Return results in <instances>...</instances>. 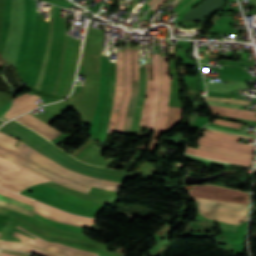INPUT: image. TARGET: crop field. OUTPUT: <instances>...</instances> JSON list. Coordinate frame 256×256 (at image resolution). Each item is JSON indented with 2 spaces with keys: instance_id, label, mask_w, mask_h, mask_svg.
<instances>
[{
  "instance_id": "8a807250",
  "label": "crop field",
  "mask_w": 256,
  "mask_h": 256,
  "mask_svg": "<svg viewBox=\"0 0 256 256\" xmlns=\"http://www.w3.org/2000/svg\"><path fill=\"white\" fill-rule=\"evenodd\" d=\"M0 130L22 140L27 145L35 148L47 157L55 160L59 164L67 167L72 171L79 172L94 178L120 183H123L125 178L134 179L135 177V174L98 168L77 161L63 150L53 146L54 144L52 145L51 143H49L50 141L48 142L40 135L27 129L26 127L22 126L14 120L2 126Z\"/></svg>"
},
{
  "instance_id": "ac0d7876",
  "label": "crop field",
  "mask_w": 256,
  "mask_h": 256,
  "mask_svg": "<svg viewBox=\"0 0 256 256\" xmlns=\"http://www.w3.org/2000/svg\"><path fill=\"white\" fill-rule=\"evenodd\" d=\"M147 70V98L145 99L140 126L154 129L159 93L161 88V76L159 54L153 55V64H146Z\"/></svg>"
},
{
  "instance_id": "34b2d1b8",
  "label": "crop field",
  "mask_w": 256,
  "mask_h": 256,
  "mask_svg": "<svg viewBox=\"0 0 256 256\" xmlns=\"http://www.w3.org/2000/svg\"><path fill=\"white\" fill-rule=\"evenodd\" d=\"M196 200L198 202L199 213L205 216L214 217V220L235 224H239L240 220H246L248 205L217 200Z\"/></svg>"
},
{
  "instance_id": "412701ff",
  "label": "crop field",
  "mask_w": 256,
  "mask_h": 256,
  "mask_svg": "<svg viewBox=\"0 0 256 256\" xmlns=\"http://www.w3.org/2000/svg\"><path fill=\"white\" fill-rule=\"evenodd\" d=\"M19 152L27 155L31 159L35 160L36 162L40 163L41 165L52 169L60 174H63L65 176H68L78 182H83L95 187L107 189V190H114L118 191V188H120V183L110 182V181H104L99 179L90 178L84 175H81L79 173L71 172L68 169L60 166L59 164L55 163L54 161L50 160L49 158L41 155L39 152L34 150L33 148L27 146L22 142V144L19 146L18 149Z\"/></svg>"
},
{
  "instance_id": "f4fd0767",
  "label": "crop field",
  "mask_w": 256,
  "mask_h": 256,
  "mask_svg": "<svg viewBox=\"0 0 256 256\" xmlns=\"http://www.w3.org/2000/svg\"><path fill=\"white\" fill-rule=\"evenodd\" d=\"M0 155L24 166L27 169H30L32 171H35L57 183H60L62 185L83 191L88 193V191L90 190L91 186H88L86 184H82V183H78L74 180H71L63 175H60L58 173H55L43 166H41L40 164L36 163L35 161L29 159L28 157L15 152L5 146L0 145ZM34 172V173H35Z\"/></svg>"
},
{
  "instance_id": "dd49c442",
  "label": "crop field",
  "mask_w": 256,
  "mask_h": 256,
  "mask_svg": "<svg viewBox=\"0 0 256 256\" xmlns=\"http://www.w3.org/2000/svg\"><path fill=\"white\" fill-rule=\"evenodd\" d=\"M194 190H190L192 197L210 198L217 200L241 202L248 204V194L239 191H233L225 188H219L212 185L193 186Z\"/></svg>"
},
{
  "instance_id": "e52e79f7",
  "label": "crop field",
  "mask_w": 256,
  "mask_h": 256,
  "mask_svg": "<svg viewBox=\"0 0 256 256\" xmlns=\"http://www.w3.org/2000/svg\"><path fill=\"white\" fill-rule=\"evenodd\" d=\"M17 228H19V227H17ZM19 229H21V228H19ZM13 235L20 238L23 243L29 244L31 246H34V247H37V248H40L43 250L54 252V253H57V254H60L63 256H98V254H94V253L84 251L81 249L69 247V246L63 245L61 243H49L35 235H34L36 237L35 240H33L21 233H18L16 231L14 232Z\"/></svg>"
},
{
  "instance_id": "d8731c3e",
  "label": "crop field",
  "mask_w": 256,
  "mask_h": 256,
  "mask_svg": "<svg viewBox=\"0 0 256 256\" xmlns=\"http://www.w3.org/2000/svg\"><path fill=\"white\" fill-rule=\"evenodd\" d=\"M206 134L210 135L207 137L203 136V138L199 137L198 144L253 155V146L237 143V137L205 131L204 135Z\"/></svg>"
},
{
  "instance_id": "5a996713",
  "label": "crop field",
  "mask_w": 256,
  "mask_h": 256,
  "mask_svg": "<svg viewBox=\"0 0 256 256\" xmlns=\"http://www.w3.org/2000/svg\"><path fill=\"white\" fill-rule=\"evenodd\" d=\"M161 64H162V93H161L160 99H169L170 80H169L166 58H161ZM168 103H169V100H160V107H159V113H158V118H157V122H156V127H155V131L153 134L152 144L149 148V150L151 152L154 151L155 142L163 130L164 123H165L166 116H167Z\"/></svg>"
},
{
  "instance_id": "3316defc",
  "label": "crop field",
  "mask_w": 256,
  "mask_h": 256,
  "mask_svg": "<svg viewBox=\"0 0 256 256\" xmlns=\"http://www.w3.org/2000/svg\"><path fill=\"white\" fill-rule=\"evenodd\" d=\"M132 77H134V79H132V96L129 102L123 134H130L131 132L134 107L138 98V92H139L138 50H132Z\"/></svg>"
},
{
  "instance_id": "28ad6ade",
  "label": "crop field",
  "mask_w": 256,
  "mask_h": 256,
  "mask_svg": "<svg viewBox=\"0 0 256 256\" xmlns=\"http://www.w3.org/2000/svg\"><path fill=\"white\" fill-rule=\"evenodd\" d=\"M124 76H125V94L123 98L122 105L120 107V113L118 118V127L116 133L122 134L125 115L127 110V105L130 98V90H131V49H125V67H124Z\"/></svg>"
},
{
  "instance_id": "d1516ede",
  "label": "crop field",
  "mask_w": 256,
  "mask_h": 256,
  "mask_svg": "<svg viewBox=\"0 0 256 256\" xmlns=\"http://www.w3.org/2000/svg\"><path fill=\"white\" fill-rule=\"evenodd\" d=\"M123 90V51H118L117 61V78H116V91L114 97L113 108L118 109L123 94L119 91ZM118 113V112H117ZM117 113L112 111L111 119L108 126V132H114L116 126Z\"/></svg>"
},
{
  "instance_id": "22f410ed",
  "label": "crop field",
  "mask_w": 256,
  "mask_h": 256,
  "mask_svg": "<svg viewBox=\"0 0 256 256\" xmlns=\"http://www.w3.org/2000/svg\"><path fill=\"white\" fill-rule=\"evenodd\" d=\"M39 100V97L35 95H29L27 93L15 98L13 107L8 110V112L4 115L6 119H9L13 116H16L20 113H23L27 110L37 107L34 103Z\"/></svg>"
},
{
  "instance_id": "cbeb9de0",
  "label": "crop field",
  "mask_w": 256,
  "mask_h": 256,
  "mask_svg": "<svg viewBox=\"0 0 256 256\" xmlns=\"http://www.w3.org/2000/svg\"><path fill=\"white\" fill-rule=\"evenodd\" d=\"M186 153L194 155V156L202 157V158H208V159H213V160H218V161H223V162L235 163V164H240V165L249 166V167H251V162H252L250 160L231 158L229 156L211 153V152H207V151H202V150H198V149H193V148H189V147H187Z\"/></svg>"
},
{
  "instance_id": "5142ce71",
  "label": "crop field",
  "mask_w": 256,
  "mask_h": 256,
  "mask_svg": "<svg viewBox=\"0 0 256 256\" xmlns=\"http://www.w3.org/2000/svg\"><path fill=\"white\" fill-rule=\"evenodd\" d=\"M33 203H34V206L42 209V210H45L51 214H55L57 216H61V217H65V218H69V219H73V220H77V221H83V222H89V223H93L95 222V220L93 219H89V218H83V217H79V216H75V215H71V214H68L64 211H61L59 209H56V208H53L51 206H48V205H45L43 203H40L36 200H33Z\"/></svg>"
},
{
  "instance_id": "d9b57169",
  "label": "crop field",
  "mask_w": 256,
  "mask_h": 256,
  "mask_svg": "<svg viewBox=\"0 0 256 256\" xmlns=\"http://www.w3.org/2000/svg\"><path fill=\"white\" fill-rule=\"evenodd\" d=\"M0 186L10 189L15 192H19V191L29 187V185H27L23 182H20L14 178H11L1 172H0Z\"/></svg>"
},
{
  "instance_id": "733c2abd",
  "label": "crop field",
  "mask_w": 256,
  "mask_h": 256,
  "mask_svg": "<svg viewBox=\"0 0 256 256\" xmlns=\"http://www.w3.org/2000/svg\"><path fill=\"white\" fill-rule=\"evenodd\" d=\"M0 247L19 249V250L31 252V253H34L37 255H41V256H58L56 254L40 251L36 248L29 247V246H26V245H23L20 243H16V242L0 241Z\"/></svg>"
},
{
  "instance_id": "4a817a6b",
  "label": "crop field",
  "mask_w": 256,
  "mask_h": 256,
  "mask_svg": "<svg viewBox=\"0 0 256 256\" xmlns=\"http://www.w3.org/2000/svg\"><path fill=\"white\" fill-rule=\"evenodd\" d=\"M182 108L169 107V115L163 132H168L171 128L181 121Z\"/></svg>"
},
{
  "instance_id": "bc2a9ffb",
  "label": "crop field",
  "mask_w": 256,
  "mask_h": 256,
  "mask_svg": "<svg viewBox=\"0 0 256 256\" xmlns=\"http://www.w3.org/2000/svg\"><path fill=\"white\" fill-rule=\"evenodd\" d=\"M35 209V212L44 216V217H47L49 219H52V220H56V221H60V222H64V223H68V224H72V225H76V226H81V227H85V228H90V225L91 224H88V223H82V222H77V221H73V220H69V219H65V218H61V217H57L55 215H51L45 211H42L36 207H34Z\"/></svg>"
},
{
  "instance_id": "214f88e0",
  "label": "crop field",
  "mask_w": 256,
  "mask_h": 256,
  "mask_svg": "<svg viewBox=\"0 0 256 256\" xmlns=\"http://www.w3.org/2000/svg\"><path fill=\"white\" fill-rule=\"evenodd\" d=\"M23 117L26 118L27 120L31 121L32 123L36 124L37 126L41 127L42 129L46 130L47 132L51 133L52 135L56 136V137L62 135L59 131L55 130L54 128L48 126L47 124H45L41 120H39V119L29 115V114H27Z\"/></svg>"
},
{
  "instance_id": "92a150f3",
  "label": "crop field",
  "mask_w": 256,
  "mask_h": 256,
  "mask_svg": "<svg viewBox=\"0 0 256 256\" xmlns=\"http://www.w3.org/2000/svg\"><path fill=\"white\" fill-rule=\"evenodd\" d=\"M199 149H203V150H207V151H211V152H216V153H221V154H225V155H230V156H235V157L252 159L251 155L223 151V150H219V149H215V148H211V147H207V146H203V145H200Z\"/></svg>"
},
{
  "instance_id": "dafd665d",
  "label": "crop field",
  "mask_w": 256,
  "mask_h": 256,
  "mask_svg": "<svg viewBox=\"0 0 256 256\" xmlns=\"http://www.w3.org/2000/svg\"><path fill=\"white\" fill-rule=\"evenodd\" d=\"M15 142H16V139H14V138H12V137H10V136L0 132V144L8 146V147H10V148H12V149L17 151V148L13 147Z\"/></svg>"
},
{
  "instance_id": "00972430",
  "label": "crop field",
  "mask_w": 256,
  "mask_h": 256,
  "mask_svg": "<svg viewBox=\"0 0 256 256\" xmlns=\"http://www.w3.org/2000/svg\"><path fill=\"white\" fill-rule=\"evenodd\" d=\"M0 194L32 204L31 199L0 188Z\"/></svg>"
},
{
  "instance_id": "a9b5d70f",
  "label": "crop field",
  "mask_w": 256,
  "mask_h": 256,
  "mask_svg": "<svg viewBox=\"0 0 256 256\" xmlns=\"http://www.w3.org/2000/svg\"><path fill=\"white\" fill-rule=\"evenodd\" d=\"M207 100L216 101V102H224V103H237V104H250V101L246 100H237V99H228V98H215V97H207Z\"/></svg>"
},
{
  "instance_id": "4177f3b9",
  "label": "crop field",
  "mask_w": 256,
  "mask_h": 256,
  "mask_svg": "<svg viewBox=\"0 0 256 256\" xmlns=\"http://www.w3.org/2000/svg\"><path fill=\"white\" fill-rule=\"evenodd\" d=\"M209 107L214 110H221V111H228V112H233V113L248 114V115L256 116V112H252V111L229 109V108H222V107H216V106H210V105H209Z\"/></svg>"
},
{
  "instance_id": "730fd06b",
  "label": "crop field",
  "mask_w": 256,
  "mask_h": 256,
  "mask_svg": "<svg viewBox=\"0 0 256 256\" xmlns=\"http://www.w3.org/2000/svg\"><path fill=\"white\" fill-rule=\"evenodd\" d=\"M0 200L8 201L10 203H13V204L18 205V206H22V207H24L26 209H29V210L33 211V208H32L31 205L23 203V202H20V201H17V200H14V199L2 196V195H0Z\"/></svg>"
},
{
  "instance_id": "eef30255",
  "label": "crop field",
  "mask_w": 256,
  "mask_h": 256,
  "mask_svg": "<svg viewBox=\"0 0 256 256\" xmlns=\"http://www.w3.org/2000/svg\"><path fill=\"white\" fill-rule=\"evenodd\" d=\"M212 112L213 114L222 115V116H232V117H239V118L252 119V120L256 119V117L247 116V115L233 114V113L214 111V110H212Z\"/></svg>"
},
{
  "instance_id": "ae1a2a85",
  "label": "crop field",
  "mask_w": 256,
  "mask_h": 256,
  "mask_svg": "<svg viewBox=\"0 0 256 256\" xmlns=\"http://www.w3.org/2000/svg\"><path fill=\"white\" fill-rule=\"evenodd\" d=\"M0 253H1V256H32L30 254H26L23 252L6 250V249L0 250Z\"/></svg>"
},
{
  "instance_id": "d3111659",
  "label": "crop field",
  "mask_w": 256,
  "mask_h": 256,
  "mask_svg": "<svg viewBox=\"0 0 256 256\" xmlns=\"http://www.w3.org/2000/svg\"><path fill=\"white\" fill-rule=\"evenodd\" d=\"M0 206H2V207H7V208H11V209H15V210H18V211L23 212V213H25V214H28V215H30V216L33 215L32 212H30V211H28V210H26V209H23V208L18 207V206L10 205V204H7V203L1 202V201H0Z\"/></svg>"
},
{
  "instance_id": "750c4746",
  "label": "crop field",
  "mask_w": 256,
  "mask_h": 256,
  "mask_svg": "<svg viewBox=\"0 0 256 256\" xmlns=\"http://www.w3.org/2000/svg\"><path fill=\"white\" fill-rule=\"evenodd\" d=\"M217 223H219L222 226L223 230H227V231L235 232L238 227L235 225H229V224H224V223H220V222H217Z\"/></svg>"
},
{
  "instance_id": "bd1437ed",
  "label": "crop field",
  "mask_w": 256,
  "mask_h": 256,
  "mask_svg": "<svg viewBox=\"0 0 256 256\" xmlns=\"http://www.w3.org/2000/svg\"><path fill=\"white\" fill-rule=\"evenodd\" d=\"M114 89H115V85H113V83L111 82L110 84V96L113 99L114 96Z\"/></svg>"
},
{
  "instance_id": "1d83c4d3",
  "label": "crop field",
  "mask_w": 256,
  "mask_h": 256,
  "mask_svg": "<svg viewBox=\"0 0 256 256\" xmlns=\"http://www.w3.org/2000/svg\"><path fill=\"white\" fill-rule=\"evenodd\" d=\"M165 0H160L153 8L152 10H156L160 7V5L164 2Z\"/></svg>"
},
{
  "instance_id": "120bbe31",
  "label": "crop field",
  "mask_w": 256,
  "mask_h": 256,
  "mask_svg": "<svg viewBox=\"0 0 256 256\" xmlns=\"http://www.w3.org/2000/svg\"><path fill=\"white\" fill-rule=\"evenodd\" d=\"M205 130H208V129H205ZM208 131H214V130H208ZM216 132H219V131H216ZM220 133L229 134V135L238 136V137H244V136H239V135L225 133V132H220ZM244 138H250V137H244ZM251 139H254V138H251Z\"/></svg>"
},
{
  "instance_id": "d32e631a",
  "label": "crop field",
  "mask_w": 256,
  "mask_h": 256,
  "mask_svg": "<svg viewBox=\"0 0 256 256\" xmlns=\"http://www.w3.org/2000/svg\"><path fill=\"white\" fill-rule=\"evenodd\" d=\"M157 0H151L148 5L152 6Z\"/></svg>"
}]
</instances>
